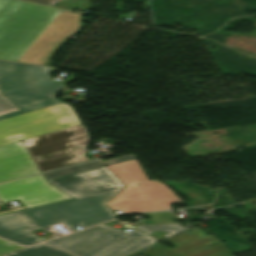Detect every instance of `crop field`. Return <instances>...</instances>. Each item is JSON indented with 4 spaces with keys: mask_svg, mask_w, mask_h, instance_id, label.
<instances>
[{
    "mask_svg": "<svg viewBox=\"0 0 256 256\" xmlns=\"http://www.w3.org/2000/svg\"><path fill=\"white\" fill-rule=\"evenodd\" d=\"M47 182L74 199L0 215L1 238L29 246L43 242L33 230L62 223L74 232L116 217L105 203L124 185L106 166Z\"/></svg>",
    "mask_w": 256,
    "mask_h": 256,
    "instance_id": "crop-field-1",
    "label": "crop field"
},
{
    "mask_svg": "<svg viewBox=\"0 0 256 256\" xmlns=\"http://www.w3.org/2000/svg\"><path fill=\"white\" fill-rule=\"evenodd\" d=\"M87 142L82 124L23 140L41 172L87 161L83 155Z\"/></svg>",
    "mask_w": 256,
    "mask_h": 256,
    "instance_id": "crop-field-6",
    "label": "crop field"
},
{
    "mask_svg": "<svg viewBox=\"0 0 256 256\" xmlns=\"http://www.w3.org/2000/svg\"><path fill=\"white\" fill-rule=\"evenodd\" d=\"M19 111L12 103L0 94V115Z\"/></svg>",
    "mask_w": 256,
    "mask_h": 256,
    "instance_id": "crop-field-16",
    "label": "crop field"
},
{
    "mask_svg": "<svg viewBox=\"0 0 256 256\" xmlns=\"http://www.w3.org/2000/svg\"><path fill=\"white\" fill-rule=\"evenodd\" d=\"M3 256H72V255L47 245H38L31 248H24Z\"/></svg>",
    "mask_w": 256,
    "mask_h": 256,
    "instance_id": "crop-field-11",
    "label": "crop field"
},
{
    "mask_svg": "<svg viewBox=\"0 0 256 256\" xmlns=\"http://www.w3.org/2000/svg\"><path fill=\"white\" fill-rule=\"evenodd\" d=\"M54 7L74 10L77 7L90 10V0H62Z\"/></svg>",
    "mask_w": 256,
    "mask_h": 256,
    "instance_id": "crop-field-14",
    "label": "crop field"
},
{
    "mask_svg": "<svg viewBox=\"0 0 256 256\" xmlns=\"http://www.w3.org/2000/svg\"><path fill=\"white\" fill-rule=\"evenodd\" d=\"M21 209H25V207L23 206V207H19V208L11 209V210L3 211V212H0V214H5V213H9V212H13V211L21 210Z\"/></svg>",
    "mask_w": 256,
    "mask_h": 256,
    "instance_id": "crop-field-19",
    "label": "crop field"
},
{
    "mask_svg": "<svg viewBox=\"0 0 256 256\" xmlns=\"http://www.w3.org/2000/svg\"><path fill=\"white\" fill-rule=\"evenodd\" d=\"M70 198L63 191L47 183L42 174L0 185L2 203L19 200L27 208Z\"/></svg>",
    "mask_w": 256,
    "mask_h": 256,
    "instance_id": "crop-field-7",
    "label": "crop field"
},
{
    "mask_svg": "<svg viewBox=\"0 0 256 256\" xmlns=\"http://www.w3.org/2000/svg\"><path fill=\"white\" fill-rule=\"evenodd\" d=\"M147 248V247H146ZM146 248H144V249H146ZM144 249H142V250H140V251H137V252H135V253H133V254H131V255H129V256H136V255H138L140 252H142Z\"/></svg>",
    "mask_w": 256,
    "mask_h": 256,
    "instance_id": "crop-field-21",
    "label": "crop field"
},
{
    "mask_svg": "<svg viewBox=\"0 0 256 256\" xmlns=\"http://www.w3.org/2000/svg\"><path fill=\"white\" fill-rule=\"evenodd\" d=\"M155 241L138 230L126 233L100 225L46 244L77 256H127Z\"/></svg>",
    "mask_w": 256,
    "mask_h": 256,
    "instance_id": "crop-field-5",
    "label": "crop field"
},
{
    "mask_svg": "<svg viewBox=\"0 0 256 256\" xmlns=\"http://www.w3.org/2000/svg\"><path fill=\"white\" fill-rule=\"evenodd\" d=\"M80 28L77 13L0 0V59L50 66L59 47Z\"/></svg>",
    "mask_w": 256,
    "mask_h": 256,
    "instance_id": "crop-field-3",
    "label": "crop field"
},
{
    "mask_svg": "<svg viewBox=\"0 0 256 256\" xmlns=\"http://www.w3.org/2000/svg\"><path fill=\"white\" fill-rule=\"evenodd\" d=\"M73 77H74V75L71 74L69 78L63 80L64 84H67V83H69V82L75 80Z\"/></svg>",
    "mask_w": 256,
    "mask_h": 256,
    "instance_id": "crop-field-20",
    "label": "crop field"
},
{
    "mask_svg": "<svg viewBox=\"0 0 256 256\" xmlns=\"http://www.w3.org/2000/svg\"><path fill=\"white\" fill-rule=\"evenodd\" d=\"M52 68L0 61V92L21 111L0 116V146L80 124L72 107L57 102L63 87Z\"/></svg>",
    "mask_w": 256,
    "mask_h": 256,
    "instance_id": "crop-field-2",
    "label": "crop field"
},
{
    "mask_svg": "<svg viewBox=\"0 0 256 256\" xmlns=\"http://www.w3.org/2000/svg\"><path fill=\"white\" fill-rule=\"evenodd\" d=\"M40 173L22 141L0 147V182Z\"/></svg>",
    "mask_w": 256,
    "mask_h": 256,
    "instance_id": "crop-field-8",
    "label": "crop field"
},
{
    "mask_svg": "<svg viewBox=\"0 0 256 256\" xmlns=\"http://www.w3.org/2000/svg\"><path fill=\"white\" fill-rule=\"evenodd\" d=\"M135 228L147 234L153 231L170 232L171 234L164 236L165 238H168L176 233H179L185 230L183 227L179 226L178 224L155 225V226L140 225Z\"/></svg>",
    "mask_w": 256,
    "mask_h": 256,
    "instance_id": "crop-field-13",
    "label": "crop field"
},
{
    "mask_svg": "<svg viewBox=\"0 0 256 256\" xmlns=\"http://www.w3.org/2000/svg\"><path fill=\"white\" fill-rule=\"evenodd\" d=\"M21 248H24V247H21L19 245L0 239V255L6 254Z\"/></svg>",
    "mask_w": 256,
    "mask_h": 256,
    "instance_id": "crop-field-17",
    "label": "crop field"
},
{
    "mask_svg": "<svg viewBox=\"0 0 256 256\" xmlns=\"http://www.w3.org/2000/svg\"><path fill=\"white\" fill-rule=\"evenodd\" d=\"M184 256H232L231 251L221 242Z\"/></svg>",
    "mask_w": 256,
    "mask_h": 256,
    "instance_id": "crop-field-12",
    "label": "crop field"
},
{
    "mask_svg": "<svg viewBox=\"0 0 256 256\" xmlns=\"http://www.w3.org/2000/svg\"><path fill=\"white\" fill-rule=\"evenodd\" d=\"M133 158H134L133 155L130 154V155H126V156L119 157V158L112 159V160L105 161V162H100V161L96 160V161L80 164L77 166L57 170L54 172L46 173L43 175H44L45 179L47 180V179H51V178H55V177H59V176H63V175L71 174V173H76V172H80V171H85V170H89V169H93V168L102 167V166H105L108 164L125 161V160H129V159H133Z\"/></svg>",
    "mask_w": 256,
    "mask_h": 256,
    "instance_id": "crop-field-10",
    "label": "crop field"
},
{
    "mask_svg": "<svg viewBox=\"0 0 256 256\" xmlns=\"http://www.w3.org/2000/svg\"><path fill=\"white\" fill-rule=\"evenodd\" d=\"M177 247L171 249L176 256H182L200 248L219 242L214 236H205L204 231H186L177 236L167 239Z\"/></svg>",
    "mask_w": 256,
    "mask_h": 256,
    "instance_id": "crop-field-9",
    "label": "crop field"
},
{
    "mask_svg": "<svg viewBox=\"0 0 256 256\" xmlns=\"http://www.w3.org/2000/svg\"><path fill=\"white\" fill-rule=\"evenodd\" d=\"M126 187L108 203L123 214L170 209L168 203L181 202L163 184L148 181L135 159L107 166ZM138 184L139 186H135Z\"/></svg>",
    "mask_w": 256,
    "mask_h": 256,
    "instance_id": "crop-field-4",
    "label": "crop field"
},
{
    "mask_svg": "<svg viewBox=\"0 0 256 256\" xmlns=\"http://www.w3.org/2000/svg\"><path fill=\"white\" fill-rule=\"evenodd\" d=\"M149 256H175L168 248L158 243L145 251Z\"/></svg>",
    "mask_w": 256,
    "mask_h": 256,
    "instance_id": "crop-field-15",
    "label": "crop field"
},
{
    "mask_svg": "<svg viewBox=\"0 0 256 256\" xmlns=\"http://www.w3.org/2000/svg\"><path fill=\"white\" fill-rule=\"evenodd\" d=\"M26 1L52 6V5L56 4L57 2H59L60 0H26Z\"/></svg>",
    "mask_w": 256,
    "mask_h": 256,
    "instance_id": "crop-field-18",
    "label": "crop field"
}]
</instances>
